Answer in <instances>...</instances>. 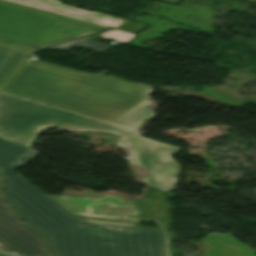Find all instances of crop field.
Wrapping results in <instances>:
<instances>
[{"label":"crop field","instance_id":"1","mask_svg":"<svg viewBox=\"0 0 256 256\" xmlns=\"http://www.w3.org/2000/svg\"><path fill=\"white\" fill-rule=\"evenodd\" d=\"M4 196L54 256H166L162 230L81 221L22 177L3 178Z\"/></svg>","mask_w":256,"mask_h":256},{"label":"crop field","instance_id":"2","mask_svg":"<svg viewBox=\"0 0 256 256\" xmlns=\"http://www.w3.org/2000/svg\"><path fill=\"white\" fill-rule=\"evenodd\" d=\"M49 126L121 136L117 145L129 150V162L152 171L141 179L143 182L167 192L176 187L179 165L170 157L180 148L136 136L123 127L0 93V138L29 147L40 130Z\"/></svg>","mask_w":256,"mask_h":256},{"label":"crop field","instance_id":"3","mask_svg":"<svg viewBox=\"0 0 256 256\" xmlns=\"http://www.w3.org/2000/svg\"><path fill=\"white\" fill-rule=\"evenodd\" d=\"M147 90L26 59L2 92L111 122L142 101Z\"/></svg>","mask_w":256,"mask_h":256},{"label":"crop field","instance_id":"4","mask_svg":"<svg viewBox=\"0 0 256 256\" xmlns=\"http://www.w3.org/2000/svg\"><path fill=\"white\" fill-rule=\"evenodd\" d=\"M103 29L0 1V40L4 42L41 49L99 33Z\"/></svg>","mask_w":256,"mask_h":256},{"label":"crop field","instance_id":"5","mask_svg":"<svg viewBox=\"0 0 256 256\" xmlns=\"http://www.w3.org/2000/svg\"><path fill=\"white\" fill-rule=\"evenodd\" d=\"M0 249L22 256H51L44 237L23 225L11 211V205L1 197L0 183Z\"/></svg>","mask_w":256,"mask_h":256},{"label":"crop field","instance_id":"6","mask_svg":"<svg viewBox=\"0 0 256 256\" xmlns=\"http://www.w3.org/2000/svg\"><path fill=\"white\" fill-rule=\"evenodd\" d=\"M6 1L62 14L65 16L96 23V24L114 28V29L125 21V19L110 16L107 14H103L99 12H89V11H85V10L71 7L68 5H64V4H61L59 0H6ZM146 27H148V25L130 20L124 25H122L121 27H119L117 30L135 34Z\"/></svg>","mask_w":256,"mask_h":256},{"label":"crop field","instance_id":"7","mask_svg":"<svg viewBox=\"0 0 256 256\" xmlns=\"http://www.w3.org/2000/svg\"><path fill=\"white\" fill-rule=\"evenodd\" d=\"M38 152L0 140V167L3 177L20 176L15 171Z\"/></svg>","mask_w":256,"mask_h":256},{"label":"crop field","instance_id":"8","mask_svg":"<svg viewBox=\"0 0 256 256\" xmlns=\"http://www.w3.org/2000/svg\"><path fill=\"white\" fill-rule=\"evenodd\" d=\"M150 101L143 100L135 107L121 115L119 118L114 120L112 123L122 125L128 128L135 129L153 116L152 111L145 109V106Z\"/></svg>","mask_w":256,"mask_h":256},{"label":"crop field","instance_id":"9","mask_svg":"<svg viewBox=\"0 0 256 256\" xmlns=\"http://www.w3.org/2000/svg\"><path fill=\"white\" fill-rule=\"evenodd\" d=\"M0 47L12 50L11 53L7 56V58L4 60V62L0 65V89H1L2 86L9 79V77L16 70V68L19 66V64L22 62V60L27 54L2 46V45H0Z\"/></svg>","mask_w":256,"mask_h":256},{"label":"crop field","instance_id":"10","mask_svg":"<svg viewBox=\"0 0 256 256\" xmlns=\"http://www.w3.org/2000/svg\"><path fill=\"white\" fill-rule=\"evenodd\" d=\"M1 41H0V43L4 42V41L3 42H1ZM3 44L9 45L11 47H14V48H17V49H20V50H23V51H27V52L34 51V49H30V48L23 47V46H20V45H17V44H13V43H3Z\"/></svg>","mask_w":256,"mask_h":256},{"label":"crop field","instance_id":"11","mask_svg":"<svg viewBox=\"0 0 256 256\" xmlns=\"http://www.w3.org/2000/svg\"><path fill=\"white\" fill-rule=\"evenodd\" d=\"M9 50L1 49L0 48V64L2 61L6 58V56L9 54ZM11 53V52H10ZM4 62V61H3Z\"/></svg>","mask_w":256,"mask_h":256},{"label":"crop field","instance_id":"12","mask_svg":"<svg viewBox=\"0 0 256 256\" xmlns=\"http://www.w3.org/2000/svg\"><path fill=\"white\" fill-rule=\"evenodd\" d=\"M170 3H179L180 0H163Z\"/></svg>","mask_w":256,"mask_h":256},{"label":"crop field","instance_id":"13","mask_svg":"<svg viewBox=\"0 0 256 256\" xmlns=\"http://www.w3.org/2000/svg\"><path fill=\"white\" fill-rule=\"evenodd\" d=\"M0 256H13V255H10V254H6V253H3V252H0Z\"/></svg>","mask_w":256,"mask_h":256}]
</instances>
